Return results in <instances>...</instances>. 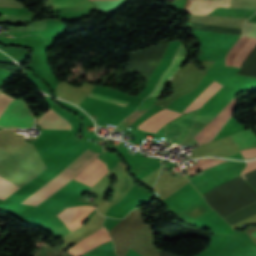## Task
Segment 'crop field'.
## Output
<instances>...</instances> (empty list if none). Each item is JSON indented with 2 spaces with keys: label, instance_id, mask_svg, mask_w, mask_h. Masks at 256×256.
<instances>
[{
  "label": "crop field",
  "instance_id": "crop-field-1",
  "mask_svg": "<svg viewBox=\"0 0 256 256\" xmlns=\"http://www.w3.org/2000/svg\"><path fill=\"white\" fill-rule=\"evenodd\" d=\"M94 209H95L94 207H90V206L68 208V209H64L57 215L79 226L83 223L81 220L84 217H86ZM57 215L54 216L49 221H47L46 223H44L42 226H40V228L46 231L49 230L55 235V237H60L71 232L76 227H78Z\"/></svg>",
  "mask_w": 256,
  "mask_h": 256
},
{
  "label": "crop field",
  "instance_id": "crop-field-2",
  "mask_svg": "<svg viewBox=\"0 0 256 256\" xmlns=\"http://www.w3.org/2000/svg\"><path fill=\"white\" fill-rule=\"evenodd\" d=\"M33 120L29 114L27 105L21 100L13 99L5 113L0 118V127L3 128H25L32 127Z\"/></svg>",
  "mask_w": 256,
  "mask_h": 256
},
{
  "label": "crop field",
  "instance_id": "crop-field-3",
  "mask_svg": "<svg viewBox=\"0 0 256 256\" xmlns=\"http://www.w3.org/2000/svg\"><path fill=\"white\" fill-rule=\"evenodd\" d=\"M237 103L233 99L215 118H213L194 138L199 144L210 141L217 131L226 123L229 116L236 109Z\"/></svg>",
  "mask_w": 256,
  "mask_h": 256
},
{
  "label": "crop field",
  "instance_id": "crop-field-4",
  "mask_svg": "<svg viewBox=\"0 0 256 256\" xmlns=\"http://www.w3.org/2000/svg\"><path fill=\"white\" fill-rule=\"evenodd\" d=\"M240 40V39H239ZM247 38L242 37L241 40L236 44V46L231 50V52L227 55L225 64L230 65L238 51L241 49L243 44ZM256 49V39L254 38H248L240 52L237 54L233 62L230 66H236L241 68V66L245 63V61L249 58V56L253 53V51Z\"/></svg>",
  "mask_w": 256,
  "mask_h": 256
},
{
  "label": "crop field",
  "instance_id": "crop-field-5",
  "mask_svg": "<svg viewBox=\"0 0 256 256\" xmlns=\"http://www.w3.org/2000/svg\"><path fill=\"white\" fill-rule=\"evenodd\" d=\"M109 240L111 239L106 229L102 226L93 234L87 236L85 239L76 243L69 250H67L66 253H69L74 256H78L90 250L91 248Z\"/></svg>",
  "mask_w": 256,
  "mask_h": 256
},
{
  "label": "crop field",
  "instance_id": "crop-field-6",
  "mask_svg": "<svg viewBox=\"0 0 256 256\" xmlns=\"http://www.w3.org/2000/svg\"><path fill=\"white\" fill-rule=\"evenodd\" d=\"M107 167L104 162L96 158L87 168L79 173L74 180L91 187L98 179L106 174Z\"/></svg>",
  "mask_w": 256,
  "mask_h": 256
},
{
  "label": "crop field",
  "instance_id": "crop-field-7",
  "mask_svg": "<svg viewBox=\"0 0 256 256\" xmlns=\"http://www.w3.org/2000/svg\"><path fill=\"white\" fill-rule=\"evenodd\" d=\"M179 115H181V113L164 109L142 122L139 128L157 133L165 125V123L177 118Z\"/></svg>",
  "mask_w": 256,
  "mask_h": 256
},
{
  "label": "crop field",
  "instance_id": "crop-field-8",
  "mask_svg": "<svg viewBox=\"0 0 256 256\" xmlns=\"http://www.w3.org/2000/svg\"><path fill=\"white\" fill-rule=\"evenodd\" d=\"M231 138L234 140L240 150L248 147H256V134L251 129L231 135Z\"/></svg>",
  "mask_w": 256,
  "mask_h": 256
},
{
  "label": "crop field",
  "instance_id": "crop-field-9",
  "mask_svg": "<svg viewBox=\"0 0 256 256\" xmlns=\"http://www.w3.org/2000/svg\"><path fill=\"white\" fill-rule=\"evenodd\" d=\"M223 85L213 82L199 97H197L185 110L188 113L196 108H200L215 92H217Z\"/></svg>",
  "mask_w": 256,
  "mask_h": 256
},
{
  "label": "crop field",
  "instance_id": "crop-field-10",
  "mask_svg": "<svg viewBox=\"0 0 256 256\" xmlns=\"http://www.w3.org/2000/svg\"><path fill=\"white\" fill-rule=\"evenodd\" d=\"M52 7H63V6H85L93 7L88 0H51Z\"/></svg>",
  "mask_w": 256,
  "mask_h": 256
},
{
  "label": "crop field",
  "instance_id": "crop-field-11",
  "mask_svg": "<svg viewBox=\"0 0 256 256\" xmlns=\"http://www.w3.org/2000/svg\"><path fill=\"white\" fill-rule=\"evenodd\" d=\"M223 161H215V160H209V159H202L199 160L198 164L193 165L191 167L186 168L188 173L191 175H193L194 173H196L199 170L211 167L213 165L219 164Z\"/></svg>",
  "mask_w": 256,
  "mask_h": 256
},
{
  "label": "crop field",
  "instance_id": "crop-field-12",
  "mask_svg": "<svg viewBox=\"0 0 256 256\" xmlns=\"http://www.w3.org/2000/svg\"><path fill=\"white\" fill-rule=\"evenodd\" d=\"M17 188V186L7 182L0 176V199L4 200L11 192Z\"/></svg>",
  "mask_w": 256,
  "mask_h": 256
},
{
  "label": "crop field",
  "instance_id": "crop-field-13",
  "mask_svg": "<svg viewBox=\"0 0 256 256\" xmlns=\"http://www.w3.org/2000/svg\"><path fill=\"white\" fill-rule=\"evenodd\" d=\"M242 36L256 38V23L246 22L244 24Z\"/></svg>",
  "mask_w": 256,
  "mask_h": 256
},
{
  "label": "crop field",
  "instance_id": "crop-field-14",
  "mask_svg": "<svg viewBox=\"0 0 256 256\" xmlns=\"http://www.w3.org/2000/svg\"><path fill=\"white\" fill-rule=\"evenodd\" d=\"M87 96L93 97V98H97V99H101V100H105V101H109V102H113V103H117V104H119V103L125 104V105L128 104V102H124V101H121V100H117V99H114V98L106 97V96L99 95V94L92 93V92H90Z\"/></svg>",
  "mask_w": 256,
  "mask_h": 256
},
{
  "label": "crop field",
  "instance_id": "crop-field-15",
  "mask_svg": "<svg viewBox=\"0 0 256 256\" xmlns=\"http://www.w3.org/2000/svg\"><path fill=\"white\" fill-rule=\"evenodd\" d=\"M241 153L243 154V156L245 158L255 157L256 156V148L243 150V151H241Z\"/></svg>",
  "mask_w": 256,
  "mask_h": 256
},
{
  "label": "crop field",
  "instance_id": "crop-field-16",
  "mask_svg": "<svg viewBox=\"0 0 256 256\" xmlns=\"http://www.w3.org/2000/svg\"><path fill=\"white\" fill-rule=\"evenodd\" d=\"M256 168V160H252V161H248V165L247 167L244 169L243 173L245 172H248L250 170H253ZM242 173V174H243ZM243 176V175H242ZM244 177V176H243ZM245 180H247L245 177H244Z\"/></svg>",
  "mask_w": 256,
  "mask_h": 256
},
{
  "label": "crop field",
  "instance_id": "crop-field-17",
  "mask_svg": "<svg viewBox=\"0 0 256 256\" xmlns=\"http://www.w3.org/2000/svg\"><path fill=\"white\" fill-rule=\"evenodd\" d=\"M252 236H254L256 238V231L251 233Z\"/></svg>",
  "mask_w": 256,
  "mask_h": 256
}]
</instances>
